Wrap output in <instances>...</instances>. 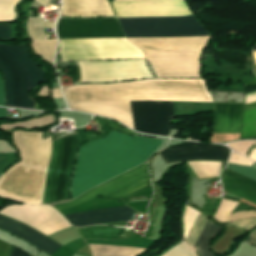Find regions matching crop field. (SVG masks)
<instances>
[{
  "label": "crop field",
  "instance_id": "1",
  "mask_svg": "<svg viewBox=\"0 0 256 256\" xmlns=\"http://www.w3.org/2000/svg\"><path fill=\"white\" fill-rule=\"evenodd\" d=\"M72 109L113 118L131 129L129 101L212 102L203 79L144 80L63 88Z\"/></svg>",
  "mask_w": 256,
  "mask_h": 256
},
{
  "label": "crop field",
  "instance_id": "2",
  "mask_svg": "<svg viewBox=\"0 0 256 256\" xmlns=\"http://www.w3.org/2000/svg\"><path fill=\"white\" fill-rule=\"evenodd\" d=\"M161 142L112 131L105 139L79 149L71 185L72 197L141 164Z\"/></svg>",
  "mask_w": 256,
  "mask_h": 256
},
{
  "label": "crop field",
  "instance_id": "3",
  "mask_svg": "<svg viewBox=\"0 0 256 256\" xmlns=\"http://www.w3.org/2000/svg\"><path fill=\"white\" fill-rule=\"evenodd\" d=\"M60 54L63 60L144 58L142 50L126 38L60 40ZM78 63L82 82H114L152 77L143 59Z\"/></svg>",
  "mask_w": 256,
  "mask_h": 256
},
{
  "label": "crop field",
  "instance_id": "4",
  "mask_svg": "<svg viewBox=\"0 0 256 256\" xmlns=\"http://www.w3.org/2000/svg\"><path fill=\"white\" fill-rule=\"evenodd\" d=\"M22 163L12 166L0 177V195L25 203H41L44 174L50 156V137L41 133L15 132Z\"/></svg>",
  "mask_w": 256,
  "mask_h": 256
},
{
  "label": "crop field",
  "instance_id": "5",
  "mask_svg": "<svg viewBox=\"0 0 256 256\" xmlns=\"http://www.w3.org/2000/svg\"><path fill=\"white\" fill-rule=\"evenodd\" d=\"M208 37L128 38L140 47L157 78L199 77V56Z\"/></svg>",
  "mask_w": 256,
  "mask_h": 256
},
{
  "label": "crop field",
  "instance_id": "6",
  "mask_svg": "<svg viewBox=\"0 0 256 256\" xmlns=\"http://www.w3.org/2000/svg\"><path fill=\"white\" fill-rule=\"evenodd\" d=\"M0 38H10L9 25H0ZM0 70L5 78L6 106L34 109L27 90L43 80V71L25 46L0 45Z\"/></svg>",
  "mask_w": 256,
  "mask_h": 256
},
{
  "label": "crop field",
  "instance_id": "7",
  "mask_svg": "<svg viewBox=\"0 0 256 256\" xmlns=\"http://www.w3.org/2000/svg\"><path fill=\"white\" fill-rule=\"evenodd\" d=\"M77 145L76 135H69L52 142V156L47 170L42 203L70 198L69 184Z\"/></svg>",
  "mask_w": 256,
  "mask_h": 256
},
{
  "label": "crop field",
  "instance_id": "8",
  "mask_svg": "<svg viewBox=\"0 0 256 256\" xmlns=\"http://www.w3.org/2000/svg\"><path fill=\"white\" fill-rule=\"evenodd\" d=\"M117 21L126 37L210 36L192 16L117 19Z\"/></svg>",
  "mask_w": 256,
  "mask_h": 256
},
{
  "label": "crop field",
  "instance_id": "9",
  "mask_svg": "<svg viewBox=\"0 0 256 256\" xmlns=\"http://www.w3.org/2000/svg\"><path fill=\"white\" fill-rule=\"evenodd\" d=\"M149 186L150 181L147 165L144 163L143 165L84 193L71 202L56 206V208L60 211L81 204L97 196L110 198L129 197Z\"/></svg>",
  "mask_w": 256,
  "mask_h": 256
},
{
  "label": "crop field",
  "instance_id": "10",
  "mask_svg": "<svg viewBox=\"0 0 256 256\" xmlns=\"http://www.w3.org/2000/svg\"><path fill=\"white\" fill-rule=\"evenodd\" d=\"M130 105L134 129L169 134V120L174 117L172 102L139 101L130 102Z\"/></svg>",
  "mask_w": 256,
  "mask_h": 256
},
{
  "label": "crop field",
  "instance_id": "11",
  "mask_svg": "<svg viewBox=\"0 0 256 256\" xmlns=\"http://www.w3.org/2000/svg\"><path fill=\"white\" fill-rule=\"evenodd\" d=\"M58 35L60 39L124 37L115 18H61Z\"/></svg>",
  "mask_w": 256,
  "mask_h": 256
},
{
  "label": "crop field",
  "instance_id": "12",
  "mask_svg": "<svg viewBox=\"0 0 256 256\" xmlns=\"http://www.w3.org/2000/svg\"><path fill=\"white\" fill-rule=\"evenodd\" d=\"M118 17L184 16L191 14L185 0L111 2Z\"/></svg>",
  "mask_w": 256,
  "mask_h": 256
},
{
  "label": "crop field",
  "instance_id": "13",
  "mask_svg": "<svg viewBox=\"0 0 256 256\" xmlns=\"http://www.w3.org/2000/svg\"><path fill=\"white\" fill-rule=\"evenodd\" d=\"M227 167L256 180V162L251 167L227 164ZM225 168L221 174L224 191L256 205V181Z\"/></svg>",
  "mask_w": 256,
  "mask_h": 256
},
{
  "label": "crop field",
  "instance_id": "14",
  "mask_svg": "<svg viewBox=\"0 0 256 256\" xmlns=\"http://www.w3.org/2000/svg\"><path fill=\"white\" fill-rule=\"evenodd\" d=\"M229 150L227 147L221 145L192 142L167 148L159 154L166 163L197 159L226 161Z\"/></svg>",
  "mask_w": 256,
  "mask_h": 256
},
{
  "label": "crop field",
  "instance_id": "15",
  "mask_svg": "<svg viewBox=\"0 0 256 256\" xmlns=\"http://www.w3.org/2000/svg\"><path fill=\"white\" fill-rule=\"evenodd\" d=\"M134 211L122 207H112L91 210L76 214L65 215L64 217L71 222L73 226L83 227L87 225H96L105 222L128 220ZM131 218V217H130Z\"/></svg>",
  "mask_w": 256,
  "mask_h": 256
},
{
  "label": "crop field",
  "instance_id": "16",
  "mask_svg": "<svg viewBox=\"0 0 256 256\" xmlns=\"http://www.w3.org/2000/svg\"><path fill=\"white\" fill-rule=\"evenodd\" d=\"M0 229L6 230L51 255L62 246L56 244L37 231L0 215Z\"/></svg>",
  "mask_w": 256,
  "mask_h": 256
},
{
  "label": "crop field",
  "instance_id": "17",
  "mask_svg": "<svg viewBox=\"0 0 256 256\" xmlns=\"http://www.w3.org/2000/svg\"><path fill=\"white\" fill-rule=\"evenodd\" d=\"M212 134L239 133L243 104L214 103Z\"/></svg>",
  "mask_w": 256,
  "mask_h": 256
},
{
  "label": "crop field",
  "instance_id": "18",
  "mask_svg": "<svg viewBox=\"0 0 256 256\" xmlns=\"http://www.w3.org/2000/svg\"><path fill=\"white\" fill-rule=\"evenodd\" d=\"M70 17L111 16L106 0H62V14Z\"/></svg>",
  "mask_w": 256,
  "mask_h": 256
},
{
  "label": "crop field",
  "instance_id": "19",
  "mask_svg": "<svg viewBox=\"0 0 256 256\" xmlns=\"http://www.w3.org/2000/svg\"><path fill=\"white\" fill-rule=\"evenodd\" d=\"M220 229L221 227H218L207 221L194 246L199 256H213L206 248V246L208 245L209 240L219 233Z\"/></svg>",
  "mask_w": 256,
  "mask_h": 256
},
{
  "label": "crop field",
  "instance_id": "20",
  "mask_svg": "<svg viewBox=\"0 0 256 256\" xmlns=\"http://www.w3.org/2000/svg\"><path fill=\"white\" fill-rule=\"evenodd\" d=\"M54 23L28 17V24L26 26L28 39L41 40L47 39L42 27L53 28Z\"/></svg>",
  "mask_w": 256,
  "mask_h": 256
},
{
  "label": "crop field",
  "instance_id": "21",
  "mask_svg": "<svg viewBox=\"0 0 256 256\" xmlns=\"http://www.w3.org/2000/svg\"><path fill=\"white\" fill-rule=\"evenodd\" d=\"M221 162H188L198 178L217 176Z\"/></svg>",
  "mask_w": 256,
  "mask_h": 256
},
{
  "label": "crop field",
  "instance_id": "22",
  "mask_svg": "<svg viewBox=\"0 0 256 256\" xmlns=\"http://www.w3.org/2000/svg\"><path fill=\"white\" fill-rule=\"evenodd\" d=\"M33 47L35 52L43 59L53 62V55L56 47V39L33 41Z\"/></svg>",
  "mask_w": 256,
  "mask_h": 256
},
{
  "label": "crop field",
  "instance_id": "23",
  "mask_svg": "<svg viewBox=\"0 0 256 256\" xmlns=\"http://www.w3.org/2000/svg\"><path fill=\"white\" fill-rule=\"evenodd\" d=\"M82 236H120L123 230L107 227L92 226L88 228H79Z\"/></svg>",
  "mask_w": 256,
  "mask_h": 256
},
{
  "label": "crop field",
  "instance_id": "24",
  "mask_svg": "<svg viewBox=\"0 0 256 256\" xmlns=\"http://www.w3.org/2000/svg\"><path fill=\"white\" fill-rule=\"evenodd\" d=\"M237 204V202L223 199L213 218L220 222H230V213Z\"/></svg>",
  "mask_w": 256,
  "mask_h": 256
},
{
  "label": "crop field",
  "instance_id": "25",
  "mask_svg": "<svg viewBox=\"0 0 256 256\" xmlns=\"http://www.w3.org/2000/svg\"><path fill=\"white\" fill-rule=\"evenodd\" d=\"M207 218L208 217L199 213L196 221L194 222L192 228L190 229V231L184 241H186L190 245H193L195 239L197 238L198 234L200 233L201 229L203 228Z\"/></svg>",
  "mask_w": 256,
  "mask_h": 256
},
{
  "label": "crop field",
  "instance_id": "26",
  "mask_svg": "<svg viewBox=\"0 0 256 256\" xmlns=\"http://www.w3.org/2000/svg\"><path fill=\"white\" fill-rule=\"evenodd\" d=\"M18 0H0V21H12L14 14L12 12L13 5Z\"/></svg>",
  "mask_w": 256,
  "mask_h": 256
},
{
  "label": "crop field",
  "instance_id": "27",
  "mask_svg": "<svg viewBox=\"0 0 256 256\" xmlns=\"http://www.w3.org/2000/svg\"><path fill=\"white\" fill-rule=\"evenodd\" d=\"M51 122H52V119H51V116H49V117H45V118H41V119L29 120L26 122L2 125L0 127H1V129L15 128V127H19V126L36 127V126H40V125L51 123Z\"/></svg>",
  "mask_w": 256,
  "mask_h": 256
},
{
  "label": "crop field",
  "instance_id": "28",
  "mask_svg": "<svg viewBox=\"0 0 256 256\" xmlns=\"http://www.w3.org/2000/svg\"><path fill=\"white\" fill-rule=\"evenodd\" d=\"M163 256H197V254L192 247L183 242L179 246L169 250Z\"/></svg>",
  "mask_w": 256,
  "mask_h": 256
},
{
  "label": "crop field",
  "instance_id": "29",
  "mask_svg": "<svg viewBox=\"0 0 256 256\" xmlns=\"http://www.w3.org/2000/svg\"><path fill=\"white\" fill-rule=\"evenodd\" d=\"M199 212H197L195 209L187 206L186 214L184 218V233L185 236L187 235L189 229L191 228L194 220L196 219ZM185 238V237H184Z\"/></svg>",
  "mask_w": 256,
  "mask_h": 256
},
{
  "label": "crop field",
  "instance_id": "30",
  "mask_svg": "<svg viewBox=\"0 0 256 256\" xmlns=\"http://www.w3.org/2000/svg\"><path fill=\"white\" fill-rule=\"evenodd\" d=\"M255 143H256V141H244V142L232 143V144H227V145L234 151L246 156V152H247L248 148L251 147Z\"/></svg>",
  "mask_w": 256,
  "mask_h": 256
},
{
  "label": "crop field",
  "instance_id": "31",
  "mask_svg": "<svg viewBox=\"0 0 256 256\" xmlns=\"http://www.w3.org/2000/svg\"><path fill=\"white\" fill-rule=\"evenodd\" d=\"M14 161L15 157L13 153L0 155V174Z\"/></svg>",
  "mask_w": 256,
  "mask_h": 256
},
{
  "label": "crop field",
  "instance_id": "32",
  "mask_svg": "<svg viewBox=\"0 0 256 256\" xmlns=\"http://www.w3.org/2000/svg\"><path fill=\"white\" fill-rule=\"evenodd\" d=\"M231 225H235V226H237L239 228L250 230L251 228L256 226V218L235 221V222H232Z\"/></svg>",
  "mask_w": 256,
  "mask_h": 256
},
{
  "label": "crop field",
  "instance_id": "33",
  "mask_svg": "<svg viewBox=\"0 0 256 256\" xmlns=\"http://www.w3.org/2000/svg\"><path fill=\"white\" fill-rule=\"evenodd\" d=\"M229 162L235 163V164H240V165H247V166H251L253 164V161L246 159L242 156H239L235 153H232Z\"/></svg>",
  "mask_w": 256,
  "mask_h": 256
},
{
  "label": "crop field",
  "instance_id": "34",
  "mask_svg": "<svg viewBox=\"0 0 256 256\" xmlns=\"http://www.w3.org/2000/svg\"><path fill=\"white\" fill-rule=\"evenodd\" d=\"M256 211H241L231 214V222L234 220L245 219L249 217H255Z\"/></svg>",
  "mask_w": 256,
  "mask_h": 256
},
{
  "label": "crop field",
  "instance_id": "35",
  "mask_svg": "<svg viewBox=\"0 0 256 256\" xmlns=\"http://www.w3.org/2000/svg\"><path fill=\"white\" fill-rule=\"evenodd\" d=\"M54 98L62 97L59 89H52ZM48 86H44L40 91L39 95H48Z\"/></svg>",
  "mask_w": 256,
  "mask_h": 256
},
{
  "label": "crop field",
  "instance_id": "36",
  "mask_svg": "<svg viewBox=\"0 0 256 256\" xmlns=\"http://www.w3.org/2000/svg\"><path fill=\"white\" fill-rule=\"evenodd\" d=\"M11 245L0 241V256H8L11 250Z\"/></svg>",
  "mask_w": 256,
  "mask_h": 256
},
{
  "label": "crop field",
  "instance_id": "37",
  "mask_svg": "<svg viewBox=\"0 0 256 256\" xmlns=\"http://www.w3.org/2000/svg\"><path fill=\"white\" fill-rule=\"evenodd\" d=\"M9 256H29V255L15 247H12V250Z\"/></svg>",
  "mask_w": 256,
  "mask_h": 256
},
{
  "label": "crop field",
  "instance_id": "38",
  "mask_svg": "<svg viewBox=\"0 0 256 256\" xmlns=\"http://www.w3.org/2000/svg\"><path fill=\"white\" fill-rule=\"evenodd\" d=\"M0 106H5L3 82H2L1 76H0Z\"/></svg>",
  "mask_w": 256,
  "mask_h": 256
},
{
  "label": "crop field",
  "instance_id": "39",
  "mask_svg": "<svg viewBox=\"0 0 256 256\" xmlns=\"http://www.w3.org/2000/svg\"><path fill=\"white\" fill-rule=\"evenodd\" d=\"M247 241H249L250 243L256 246V229L251 232Z\"/></svg>",
  "mask_w": 256,
  "mask_h": 256
},
{
  "label": "crop field",
  "instance_id": "40",
  "mask_svg": "<svg viewBox=\"0 0 256 256\" xmlns=\"http://www.w3.org/2000/svg\"><path fill=\"white\" fill-rule=\"evenodd\" d=\"M0 118H6V108H0Z\"/></svg>",
  "mask_w": 256,
  "mask_h": 256
},
{
  "label": "crop field",
  "instance_id": "41",
  "mask_svg": "<svg viewBox=\"0 0 256 256\" xmlns=\"http://www.w3.org/2000/svg\"><path fill=\"white\" fill-rule=\"evenodd\" d=\"M249 158H252L254 160H256V149H252L250 155H249Z\"/></svg>",
  "mask_w": 256,
  "mask_h": 256
},
{
  "label": "crop field",
  "instance_id": "42",
  "mask_svg": "<svg viewBox=\"0 0 256 256\" xmlns=\"http://www.w3.org/2000/svg\"><path fill=\"white\" fill-rule=\"evenodd\" d=\"M38 1L45 5L48 0H38Z\"/></svg>",
  "mask_w": 256,
  "mask_h": 256
},
{
  "label": "crop field",
  "instance_id": "43",
  "mask_svg": "<svg viewBox=\"0 0 256 256\" xmlns=\"http://www.w3.org/2000/svg\"><path fill=\"white\" fill-rule=\"evenodd\" d=\"M115 1H125V0H115Z\"/></svg>",
  "mask_w": 256,
  "mask_h": 256
},
{
  "label": "crop field",
  "instance_id": "44",
  "mask_svg": "<svg viewBox=\"0 0 256 256\" xmlns=\"http://www.w3.org/2000/svg\"><path fill=\"white\" fill-rule=\"evenodd\" d=\"M254 48H256V45H255V47Z\"/></svg>",
  "mask_w": 256,
  "mask_h": 256
},
{
  "label": "crop field",
  "instance_id": "45",
  "mask_svg": "<svg viewBox=\"0 0 256 256\" xmlns=\"http://www.w3.org/2000/svg\"><path fill=\"white\" fill-rule=\"evenodd\" d=\"M256 146V145H255Z\"/></svg>",
  "mask_w": 256,
  "mask_h": 256
}]
</instances>
